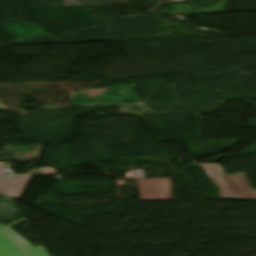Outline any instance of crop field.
<instances>
[{"instance_id": "crop-field-1", "label": "crop field", "mask_w": 256, "mask_h": 256, "mask_svg": "<svg viewBox=\"0 0 256 256\" xmlns=\"http://www.w3.org/2000/svg\"><path fill=\"white\" fill-rule=\"evenodd\" d=\"M200 166L218 186L219 198L256 200V191L252 190L242 174L224 176L220 168L214 164L200 163Z\"/></svg>"}, {"instance_id": "crop-field-2", "label": "crop field", "mask_w": 256, "mask_h": 256, "mask_svg": "<svg viewBox=\"0 0 256 256\" xmlns=\"http://www.w3.org/2000/svg\"><path fill=\"white\" fill-rule=\"evenodd\" d=\"M25 220L27 218L8 227L0 225V256H49L43 245L35 248L10 229Z\"/></svg>"}, {"instance_id": "crop-field-3", "label": "crop field", "mask_w": 256, "mask_h": 256, "mask_svg": "<svg viewBox=\"0 0 256 256\" xmlns=\"http://www.w3.org/2000/svg\"><path fill=\"white\" fill-rule=\"evenodd\" d=\"M100 97L87 98L85 93H79L73 96L70 100L72 105H87V104H116L122 103L126 100L136 99L138 103L141 102L139 97L134 94V85H122L109 88L105 94Z\"/></svg>"}, {"instance_id": "crop-field-4", "label": "crop field", "mask_w": 256, "mask_h": 256, "mask_svg": "<svg viewBox=\"0 0 256 256\" xmlns=\"http://www.w3.org/2000/svg\"><path fill=\"white\" fill-rule=\"evenodd\" d=\"M2 26L20 41L49 35L34 23L3 24Z\"/></svg>"}, {"instance_id": "crop-field-5", "label": "crop field", "mask_w": 256, "mask_h": 256, "mask_svg": "<svg viewBox=\"0 0 256 256\" xmlns=\"http://www.w3.org/2000/svg\"><path fill=\"white\" fill-rule=\"evenodd\" d=\"M0 209L13 217L20 214L15 205L13 204V202L1 206Z\"/></svg>"}, {"instance_id": "crop-field-6", "label": "crop field", "mask_w": 256, "mask_h": 256, "mask_svg": "<svg viewBox=\"0 0 256 256\" xmlns=\"http://www.w3.org/2000/svg\"><path fill=\"white\" fill-rule=\"evenodd\" d=\"M11 201L12 200L10 198L0 194V205L6 204ZM10 218H12V217L0 210V222L5 221Z\"/></svg>"}, {"instance_id": "crop-field-7", "label": "crop field", "mask_w": 256, "mask_h": 256, "mask_svg": "<svg viewBox=\"0 0 256 256\" xmlns=\"http://www.w3.org/2000/svg\"><path fill=\"white\" fill-rule=\"evenodd\" d=\"M0 110H4V109H0Z\"/></svg>"}]
</instances>
